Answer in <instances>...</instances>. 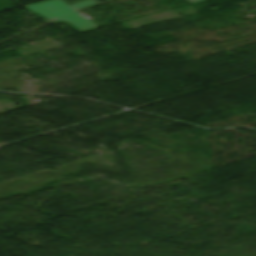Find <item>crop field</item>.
Returning <instances> with one entry per match:
<instances>
[{"mask_svg": "<svg viewBox=\"0 0 256 256\" xmlns=\"http://www.w3.org/2000/svg\"><path fill=\"white\" fill-rule=\"evenodd\" d=\"M95 3L96 2L94 0H86L69 6L62 0H50L34 5L25 6V8L44 18L53 21L67 22L79 30H84L95 27L96 24L75 10L90 6Z\"/></svg>", "mask_w": 256, "mask_h": 256, "instance_id": "crop-field-1", "label": "crop field"}, {"mask_svg": "<svg viewBox=\"0 0 256 256\" xmlns=\"http://www.w3.org/2000/svg\"><path fill=\"white\" fill-rule=\"evenodd\" d=\"M189 2H195V1H199V0H188Z\"/></svg>", "mask_w": 256, "mask_h": 256, "instance_id": "crop-field-2", "label": "crop field"}]
</instances>
